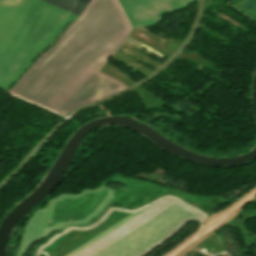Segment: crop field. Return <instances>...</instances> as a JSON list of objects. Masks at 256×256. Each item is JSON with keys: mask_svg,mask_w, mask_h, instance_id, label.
<instances>
[{"mask_svg": "<svg viewBox=\"0 0 256 256\" xmlns=\"http://www.w3.org/2000/svg\"><path fill=\"white\" fill-rule=\"evenodd\" d=\"M130 29L116 0H90L60 40L9 92L67 114L79 105L126 88L97 70L119 48Z\"/></svg>", "mask_w": 256, "mask_h": 256, "instance_id": "crop-field-1", "label": "crop field"}, {"mask_svg": "<svg viewBox=\"0 0 256 256\" xmlns=\"http://www.w3.org/2000/svg\"><path fill=\"white\" fill-rule=\"evenodd\" d=\"M77 17L40 0H0V88L9 90L33 55Z\"/></svg>", "mask_w": 256, "mask_h": 256, "instance_id": "crop-field-2", "label": "crop field"}, {"mask_svg": "<svg viewBox=\"0 0 256 256\" xmlns=\"http://www.w3.org/2000/svg\"><path fill=\"white\" fill-rule=\"evenodd\" d=\"M132 27L158 23L165 13L181 11L198 0H118Z\"/></svg>", "mask_w": 256, "mask_h": 256, "instance_id": "crop-field-3", "label": "crop field"}, {"mask_svg": "<svg viewBox=\"0 0 256 256\" xmlns=\"http://www.w3.org/2000/svg\"><path fill=\"white\" fill-rule=\"evenodd\" d=\"M44 1H47L51 4H54L56 6L69 10L78 15H80L82 10L86 6V3L80 0H44Z\"/></svg>", "mask_w": 256, "mask_h": 256, "instance_id": "crop-field-4", "label": "crop field"}, {"mask_svg": "<svg viewBox=\"0 0 256 256\" xmlns=\"http://www.w3.org/2000/svg\"><path fill=\"white\" fill-rule=\"evenodd\" d=\"M118 50H120V51H122V52H124V53H126V54H128V55H130V56H132V57H134V58H136L137 60H139V61H141V62H143V63H145V64H147V65H149V66H151V67H153V68H155V69L159 67V66H157V65H155V64H153V63H151L150 61H148V60H146V59L140 57L139 55H137V54L131 52L130 50H128V49H126V48H124V47H122V46H121Z\"/></svg>", "mask_w": 256, "mask_h": 256, "instance_id": "crop-field-5", "label": "crop field"}, {"mask_svg": "<svg viewBox=\"0 0 256 256\" xmlns=\"http://www.w3.org/2000/svg\"><path fill=\"white\" fill-rule=\"evenodd\" d=\"M82 1H84V2L88 3V1H89V0H82Z\"/></svg>", "mask_w": 256, "mask_h": 256, "instance_id": "crop-field-6", "label": "crop field"}]
</instances>
